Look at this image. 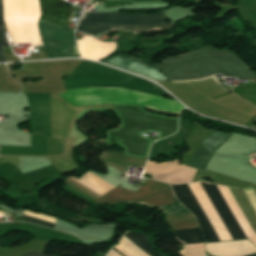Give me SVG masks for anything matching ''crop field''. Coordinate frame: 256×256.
<instances>
[{"instance_id": "1", "label": "crop field", "mask_w": 256, "mask_h": 256, "mask_svg": "<svg viewBox=\"0 0 256 256\" xmlns=\"http://www.w3.org/2000/svg\"><path fill=\"white\" fill-rule=\"evenodd\" d=\"M170 80L190 79L221 73L247 80H255L256 73L234 53L210 46L199 48L178 57L166 58L153 65Z\"/></svg>"}, {"instance_id": "2", "label": "crop field", "mask_w": 256, "mask_h": 256, "mask_svg": "<svg viewBox=\"0 0 256 256\" xmlns=\"http://www.w3.org/2000/svg\"><path fill=\"white\" fill-rule=\"evenodd\" d=\"M59 95L75 106H86L101 103L138 104L146 108L177 114H180L185 108L175 100H169L166 98L152 96L147 93L133 92L121 88H85L69 90L66 91V93H61Z\"/></svg>"}, {"instance_id": "3", "label": "crop field", "mask_w": 256, "mask_h": 256, "mask_svg": "<svg viewBox=\"0 0 256 256\" xmlns=\"http://www.w3.org/2000/svg\"><path fill=\"white\" fill-rule=\"evenodd\" d=\"M69 75L64 79L65 90L79 87H122L162 97L167 94L146 80L90 61H83Z\"/></svg>"}, {"instance_id": "4", "label": "crop field", "mask_w": 256, "mask_h": 256, "mask_svg": "<svg viewBox=\"0 0 256 256\" xmlns=\"http://www.w3.org/2000/svg\"><path fill=\"white\" fill-rule=\"evenodd\" d=\"M162 14L128 15L85 12L76 31L97 34L111 30L134 31V34L171 28Z\"/></svg>"}, {"instance_id": "5", "label": "crop field", "mask_w": 256, "mask_h": 256, "mask_svg": "<svg viewBox=\"0 0 256 256\" xmlns=\"http://www.w3.org/2000/svg\"><path fill=\"white\" fill-rule=\"evenodd\" d=\"M204 190L206 191L209 199L216 208L218 214L223 220L225 226L230 232L233 240L244 239L239 227L234 221L232 215L224 204L214 184L201 183ZM173 191L179 201L184 204L198 219L201 228L203 229L204 235L207 242L219 241L211 224L207 220L202 208L193 196L189 186L185 185H172Z\"/></svg>"}, {"instance_id": "6", "label": "crop field", "mask_w": 256, "mask_h": 256, "mask_svg": "<svg viewBox=\"0 0 256 256\" xmlns=\"http://www.w3.org/2000/svg\"><path fill=\"white\" fill-rule=\"evenodd\" d=\"M117 56H120L122 58H125V59H128L130 61H133V62H136V63H139L141 65H144V66H147L149 68H152V69H155L157 71H159L158 69L150 66L149 64H147L144 60L142 59H136V58H130L129 56H126V55H123V54H120V55H117ZM117 56H114L112 58H109L105 61H103L102 63H106V64H109V65H112V66H115V67H118V68H121V69H124V70H127V71H130V72H133V73H136V74H139L141 76H144V77H147L153 81H165V80H169L168 78H166L162 73L160 72H157L155 70H152V69H149L147 67H144V66H141V65H138L136 63H133V62H130L128 60H125V59H122L120 57H117Z\"/></svg>"}, {"instance_id": "7", "label": "crop field", "mask_w": 256, "mask_h": 256, "mask_svg": "<svg viewBox=\"0 0 256 256\" xmlns=\"http://www.w3.org/2000/svg\"><path fill=\"white\" fill-rule=\"evenodd\" d=\"M230 133L214 131L198 148L188 166L203 169L215 148L227 139Z\"/></svg>"}, {"instance_id": "8", "label": "crop field", "mask_w": 256, "mask_h": 256, "mask_svg": "<svg viewBox=\"0 0 256 256\" xmlns=\"http://www.w3.org/2000/svg\"><path fill=\"white\" fill-rule=\"evenodd\" d=\"M63 3H65V1L63 0H41L43 18L49 22L55 23L63 27H67V20L72 10L67 7L61 6V4ZM73 14L74 11L69 19V22Z\"/></svg>"}, {"instance_id": "9", "label": "crop field", "mask_w": 256, "mask_h": 256, "mask_svg": "<svg viewBox=\"0 0 256 256\" xmlns=\"http://www.w3.org/2000/svg\"><path fill=\"white\" fill-rule=\"evenodd\" d=\"M174 235L178 241L186 244L204 242L202 233L199 228L175 230Z\"/></svg>"}, {"instance_id": "10", "label": "crop field", "mask_w": 256, "mask_h": 256, "mask_svg": "<svg viewBox=\"0 0 256 256\" xmlns=\"http://www.w3.org/2000/svg\"><path fill=\"white\" fill-rule=\"evenodd\" d=\"M125 236L128 237L131 241H133L136 245H138L145 252H147L149 255H151V256H161L160 254H158L157 252H155L151 248V246H150L146 236L142 235L141 233H131V232H128V233L125 234ZM112 250L116 251L121 256H124L123 254H121L116 249H112Z\"/></svg>"}, {"instance_id": "11", "label": "crop field", "mask_w": 256, "mask_h": 256, "mask_svg": "<svg viewBox=\"0 0 256 256\" xmlns=\"http://www.w3.org/2000/svg\"><path fill=\"white\" fill-rule=\"evenodd\" d=\"M5 34H6V27L2 19V3L0 0V61H7L2 51V47L9 46Z\"/></svg>"}, {"instance_id": "12", "label": "crop field", "mask_w": 256, "mask_h": 256, "mask_svg": "<svg viewBox=\"0 0 256 256\" xmlns=\"http://www.w3.org/2000/svg\"><path fill=\"white\" fill-rule=\"evenodd\" d=\"M21 221H28V222L35 223V224L45 226V227H48V228H52V229H53V226H54L53 223H49V222H45V221H42V220L34 219V218L27 217V216H24V215L22 216Z\"/></svg>"}, {"instance_id": "13", "label": "crop field", "mask_w": 256, "mask_h": 256, "mask_svg": "<svg viewBox=\"0 0 256 256\" xmlns=\"http://www.w3.org/2000/svg\"><path fill=\"white\" fill-rule=\"evenodd\" d=\"M24 256H46V255L30 252V253H28V254H26Z\"/></svg>"}, {"instance_id": "14", "label": "crop field", "mask_w": 256, "mask_h": 256, "mask_svg": "<svg viewBox=\"0 0 256 256\" xmlns=\"http://www.w3.org/2000/svg\"><path fill=\"white\" fill-rule=\"evenodd\" d=\"M214 76V75H213ZM208 78V77H207ZM218 82H219V79L217 76L214 77ZM220 83V82H219ZM221 84V83H220Z\"/></svg>"}, {"instance_id": "15", "label": "crop field", "mask_w": 256, "mask_h": 256, "mask_svg": "<svg viewBox=\"0 0 256 256\" xmlns=\"http://www.w3.org/2000/svg\"><path fill=\"white\" fill-rule=\"evenodd\" d=\"M249 256H256V254H252V255H249Z\"/></svg>"}, {"instance_id": "16", "label": "crop field", "mask_w": 256, "mask_h": 256, "mask_svg": "<svg viewBox=\"0 0 256 256\" xmlns=\"http://www.w3.org/2000/svg\"><path fill=\"white\" fill-rule=\"evenodd\" d=\"M15 41V43H17V41L16 40H14Z\"/></svg>"}]
</instances>
